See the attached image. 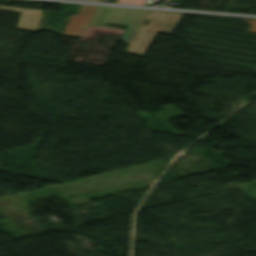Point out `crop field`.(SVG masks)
I'll list each match as a JSON object with an SVG mask.
<instances>
[{"mask_svg":"<svg viewBox=\"0 0 256 256\" xmlns=\"http://www.w3.org/2000/svg\"><path fill=\"white\" fill-rule=\"evenodd\" d=\"M111 9L112 7L98 6L89 25L101 26L107 18L108 14L110 13Z\"/></svg>","mask_w":256,"mask_h":256,"instance_id":"obj_4","label":"crop field"},{"mask_svg":"<svg viewBox=\"0 0 256 256\" xmlns=\"http://www.w3.org/2000/svg\"><path fill=\"white\" fill-rule=\"evenodd\" d=\"M96 6L81 5L77 15L72 14L62 35L81 38Z\"/></svg>","mask_w":256,"mask_h":256,"instance_id":"obj_2","label":"crop field"},{"mask_svg":"<svg viewBox=\"0 0 256 256\" xmlns=\"http://www.w3.org/2000/svg\"><path fill=\"white\" fill-rule=\"evenodd\" d=\"M0 9L22 11L16 28L32 30V31L36 30V27L42 12L38 10H29V9H20V8H11V7H2V6H0Z\"/></svg>","mask_w":256,"mask_h":256,"instance_id":"obj_3","label":"crop field"},{"mask_svg":"<svg viewBox=\"0 0 256 256\" xmlns=\"http://www.w3.org/2000/svg\"><path fill=\"white\" fill-rule=\"evenodd\" d=\"M145 0H117L116 3L143 5Z\"/></svg>","mask_w":256,"mask_h":256,"instance_id":"obj_5","label":"crop field"},{"mask_svg":"<svg viewBox=\"0 0 256 256\" xmlns=\"http://www.w3.org/2000/svg\"><path fill=\"white\" fill-rule=\"evenodd\" d=\"M182 13L114 7L106 19L108 24L129 25L122 37L129 45L126 52L143 56L156 32L172 34ZM150 18L147 25H143Z\"/></svg>","mask_w":256,"mask_h":256,"instance_id":"obj_1","label":"crop field"}]
</instances>
